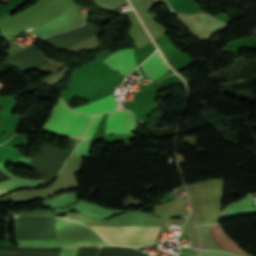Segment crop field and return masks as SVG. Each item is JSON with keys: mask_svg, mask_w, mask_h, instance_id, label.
Returning a JSON list of instances; mask_svg holds the SVG:
<instances>
[{"mask_svg": "<svg viewBox=\"0 0 256 256\" xmlns=\"http://www.w3.org/2000/svg\"><path fill=\"white\" fill-rule=\"evenodd\" d=\"M112 245L136 248L154 242L159 224L89 226Z\"/></svg>", "mask_w": 256, "mask_h": 256, "instance_id": "8a807250", "label": "crop field"}, {"mask_svg": "<svg viewBox=\"0 0 256 256\" xmlns=\"http://www.w3.org/2000/svg\"><path fill=\"white\" fill-rule=\"evenodd\" d=\"M94 116L82 115L71 111L58 99L48 121L43 126V131L61 137H84Z\"/></svg>", "mask_w": 256, "mask_h": 256, "instance_id": "ac0d7876", "label": "crop field"}, {"mask_svg": "<svg viewBox=\"0 0 256 256\" xmlns=\"http://www.w3.org/2000/svg\"><path fill=\"white\" fill-rule=\"evenodd\" d=\"M176 15L196 37L202 40H208L215 32L228 27V24L204 13H196L192 15L176 13Z\"/></svg>", "mask_w": 256, "mask_h": 256, "instance_id": "34b2d1b8", "label": "crop field"}, {"mask_svg": "<svg viewBox=\"0 0 256 256\" xmlns=\"http://www.w3.org/2000/svg\"><path fill=\"white\" fill-rule=\"evenodd\" d=\"M200 232V248L219 249L236 252L239 254L251 256L241 251L222 231L220 225H202L197 226Z\"/></svg>", "mask_w": 256, "mask_h": 256, "instance_id": "412701ff", "label": "crop field"}, {"mask_svg": "<svg viewBox=\"0 0 256 256\" xmlns=\"http://www.w3.org/2000/svg\"><path fill=\"white\" fill-rule=\"evenodd\" d=\"M101 115L95 116L84 139H89ZM137 129V121L127 110L111 112L106 122L105 133H133Z\"/></svg>", "mask_w": 256, "mask_h": 256, "instance_id": "f4fd0767", "label": "crop field"}, {"mask_svg": "<svg viewBox=\"0 0 256 256\" xmlns=\"http://www.w3.org/2000/svg\"><path fill=\"white\" fill-rule=\"evenodd\" d=\"M103 62L110 65L125 76L136 67L133 48L122 49L120 51L114 52Z\"/></svg>", "mask_w": 256, "mask_h": 256, "instance_id": "dd49c442", "label": "crop field"}, {"mask_svg": "<svg viewBox=\"0 0 256 256\" xmlns=\"http://www.w3.org/2000/svg\"><path fill=\"white\" fill-rule=\"evenodd\" d=\"M73 27H76V25L66 14H64L34 31L44 38Z\"/></svg>", "mask_w": 256, "mask_h": 256, "instance_id": "e52e79f7", "label": "crop field"}, {"mask_svg": "<svg viewBox=\"0 0 256 256\" xmlns=\"http://www.w3.org/2000/svg\"><path fill=\"white\" fill-rule=\"evenodd\" d=\"M163 65H165L164 60L162 59L158 52H155L144 63H142L140 67L144 74L148 76L160 67H162ZM168 70L170 69L165 65L148 77L153 78L157 81Z\"/></svg>", "mask_w": 256, "mask_h": 256, "instance_id": "d8731c3e", "label": "crop field"}, {"mask_svg": "<svg viewBox=\"0 0 256 256\" xmlns=\"http://www.w3.org/2000/svg\"><path fill=\"white\" fill-rule=\"evenodd\" d=\"M73 109L82 111L85 113H89V114H98V113L117 109V101L111 94L104 99L96 100L85 106H81Z\"/></svg>", "mask_w": 256, "mask_h": 256, "instance_id": "5a996713", "label": "crop field"}, {"mask_svg": "<svg viewBox=\"0 0 256 256\" xmlns=\"http://www.w3.org/2000/svg\"><path fill=\"white\" fill-rule=\"evenodd\" d=\"M21 247L39 246H110L104 241H80V242H20Z\"/></svg>", "mask_w": 256, "mask_h": 256, "instance_id": "3316defc", "label": "crop field"}, {"mask_svg": "<svg viewBox=\"0 0 256 256\" xmlns=\"http://www.w3.org/2000/svg\"><path fill=\"white\" fill-rule=\"evenodd\" d=\"M19 187H23V186L13 182L12 180L1 182L0 183V195L4 194L12 189L19 188Z\"/></svg>", "mask_w": 256, "mask_h": 256, "instance_id": "28ad6ade", "label": "crop field"}, {"mask_svg": "<svg viewBox=\"0 0 256 256\" xmlns=\"http://www.w3.org/2000/svg\"><path fill=\"white\" fill-rule=\"evenodd\" d=\"M80 248H63L59 256H77Z\"/></svg>", "mask_w": 256, "mask_h": 256, "instance_id": "d1516ede", "label": "crop field"}, {"mask_svg": "<svg viewBox=\"0 0 256 256\" xmlns=\"http://www.w3.org/2000/svg\"><path fill=\"white\" fill-rule=\"evenodd\" d=\"M197 256H232V255H228V254H224V253H220V252H201V251H199L197 253Z\"/></svg>", "mask_w": 256, "mask_h": 256, "instance_id": "22f410ed", "label": "crop field"}, {"mask_svg": "<svg viewBox=\"0 0 256 256\" xmlns=\"http://www.w3.org/2000/svg\"><path fill=\"white\" fill-rule=\"evenodd\" d=\"M2 89L1 85H0V90Z\"/></svg>", "mask_w": 256, "mask_h": 256, "instance_id": "cbeb9de0", "label": "crop field"}]
</instances>
